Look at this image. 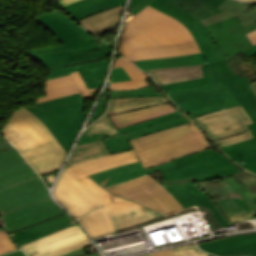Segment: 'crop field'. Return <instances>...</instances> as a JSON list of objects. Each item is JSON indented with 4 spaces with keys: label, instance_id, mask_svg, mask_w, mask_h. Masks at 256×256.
<instances>
[{
    "label": "crop field",
    "instance_id": "obj_23",
    "mask_svg": "<svg viewBox=\"0 0 256 256\" xmlns=\"http://www.w3.org/2000/svg\"><path fill=\"white\" fill-rule=\"evenodd\" d=\"M76 224L68 214L51 219L42 224L10 233L15 242L20 245L44 237L54 231Z\"/></svg>",
    "mask_w": 256,
    "mask_h": 256
},
{
    "label": "crop field",
    "instance_id": "obj_18",
    "mask_svg": "<svg viewBox=\"0 0 256 256\" xmlns=\"http://www.w3.org/2000/svg\"><path fill=\"white\" fill-rule=\"evenodd\" d=\"M104 50L73 54L71 50L52 51L30 54L33 61L44 62L47 70L62 66L80 64L85 62L108 59L111 55L112 46L103 42L100 44Z\"/></svg>",
    "mask_w": 256,
    "mask_h": 256
},
{
    "label": "crop field",
    "instance_id": "obj_21",
    "mask_svg": "<svg viewBox=\"0 0 256 256\" xmlns=\"http://www.w3.org/2000/svg\"><path fill=\"white\" fill-rule=\"evenodd\" d=\"M108 64L109 59L48 70L46 80L69 75L72 72L80 71L88 89L101 87L102 83L105 80Z\"/></svg>",
    "mask_w": 256,
    "mask_h": 256
},
{
    "label": "crop field",
    "instance_id": "obj_65",
    "mask_svg": "<svg viewBox=\"0 0 256 256\" xmlns=\"http://www.w3.org/2000/svg\"><path fill=\"white\" fill-rule=\"evenodd\" d=\"M47 178L49 179L50 183L52 184L55 179V176L49 175V176H47Z\"/></svg>",
    "mask_w": 256,
    "mask_h": 256
},
{
    "label": "crop field",
    "instance_id": "obj_52",
    "mask_svg": "<svg viewBox=\"0 0 256 256\" xmlns=\"http://www.w3.org/2000/svg\"><path fill=\"white\" fill-rule=\"evenodd\" d=\"M106 99L107 98L101 97L89 123L92 122L93 120H95L103 112V110L105 108Z\"/></svg>",
    "mask_w": 256,
    "mask_h": 256
},
{
    "label": "crop field",
    "instance_id": "obj_68",
    "mask_svg": "<svg viewBox=\"0 0 256 256\" xmlns=\"http://www.w3.org/2000/svg\"><path fill=\"white\" fill-rule=\"evenodd\" d=\"M144 256H150V254H148V255H144Z\"/></svg>",
    "mask_w": 256,
    "mask_h": 256
},
{
    "label": "crop field",
    "instance_id": "obj_40",
    "mask_svg": "<svg viewBox=\"0 0 256 256\" xmlns=\"http://www.w3.org/2000/svg\"><path fill=\"white\" fill-rule=\"evenodd\" d=\"M125 4V0H103L85 8L69 12L77 21L84 19L88 16L113 8L115 6Z\"/></svg>",
    "mask_w": 256,
    "mask_h": 256
},
{
    "label": "crop field",
    "instance_id": "obj_5",
    "mask_svg": "<svg viewBox=\"0 0 256 256\" xmlns=\"http://www.w3.org/2000/svg\"><path fill=\"white\" fill-rule=\"evenodd\" d=\"M204 76L208 82L222 81L227 89L239 101L243 109L251 117L253 123L248 124L254 138L221 149L237 162L256 154V97L251 92L249 79L235 75L228 67L227 61L202 64Z\"/></svg>",
    "mask_w": 256,
    "mask_h": 256
},
{
    "label": "crop field",
    "instance_id": "obj_16",
    "mask_svg": "<svg viewBox=\"0 0 256 256\" xmlns=\"http://www.w3.org/2000/svg\"><path fill=\"white\" fill-rule=\"evenodd\" d=\"M49 196L43 181L37 177L0 190V208L4 213Z\"/></svg>",
    "mask_w": 256,
    "mask_h": 256
},
{
    "label": "crop field",
    "instance_id": "obj_67",
    "mask_svg": "<svg viewBox=\"0 0 256 256\" xmlns=\"http://www.w3.org/2000/svg\"><path fill=\"white\" fill-rule=\"evenodd\" d=\"M90 256H100V254H96V255H90Z\"/></svg>",
    "mask_w": 256,
    "mask_h": 256
},
{
    "label": "crop field",
    "instance_id": "obj_30",
    "mask_svg": "<svg viewBox=\"0 0 256 256\" xmlns=\"http://www.w3.org/2000/svg\"><path fill=\"white\" fill-rule=\"evenodd\" d=\"M145 72L151 75L158 85L204 77L200 65L147 70Z\"/></svg>",
    "mask_w": 256,
    "mask_h": 256
},
{
    "label": "crop field",
    "instance_id": "obj_51",
    "mask_svg": "<svg viewBox=\"0 0 256 256\" xmlns=\"http://www.w3.org/2000/svg\"><path fill=\"white\" fill-rule=\"evenodd\" d=\"M244 163L242 164L241 161L237 162L246 169L256 173V155L245 160H242Z\"/></svg>",
    "mask_w": 256,
    "mask_h": 256
},
{
    "label": "crop field",
    "instance_id": "obj_53",
    "mask_svg": "<svg viewBox=\"0 0 256 256\" xmlns=\"http://www.w3.org/2000/svg\"><path fill=\"white\" fill-rule=\"evenodd\" d=\"M223 177L222 174H218V175H210V176H202V177H194L192 178L193 182H197V181H205V180H211V179H218Z\"/></svg>",
    "mask_w": 256,
    "mask_h": 256
},
{
    "label": "crop field",
    "instance_id": "obj_22",
    "mask_svg": "<svg viewBox=\"0 0 256 256\" xmlns=\"http://www.w3.org/2000/svg\"><path fill=\"white\" fill-rule=\"evenodd\" d=\"M99 89L87 90L80 73L77 72L69 76L46 81L45 94L47 96L37 98L36 103L77 93H81L83 97H86L90 96L89 91Z\"/></svg>",
    "mask_w": 256,
    "mask_h": 256
},
{
    "label": "crop field",
    "instance_id": "obj_44",
    "mask_svg": "<svg viewBox=\"0 0 256 256\" xmlns=\"http://www.w3.org/2000/svg\"><path fill=\"white\" fill-rule=\"evenodd\" d=\"M16 249H19V247L15 244V242L11 238L8 231L6 229L1 230L0 231V255Z\"/></svg>",
    "mask_w": 256,
    "mask_h": 256
},
{
    "label": "crop field",
    "instance_id": "obj_8",
    "mask_svg": "<svg viewBox=\"0 0 256 256\" xmlns=\"http://www.w3.org/2000/svg\"><path fill=\"white\" fill-rule=\"evenodd\" d=\"M219 147L252 138L246 124L251 123L241 106L193 119Z\"/></svg>",
    "mask_w": 256,
    "mask_h": 256
},
{
    "label": "crop field",
    "instance_id": "obj_57",
    "mask_svg": "<svg viewBox=\"0 0 256 256\" xmlns=\"http://www.w3.org/2000/svg\"><path fill=\"white\" fill-rule=\"evenodd\" d=\"M83 255H86V254L83 249H80V250H75L71 253L65 254L63 256H83Z\"/></svg>",
    "mask_w": 256,
    "mask_h": 256
},
{
    "label": "crop field",
    "instance_id": "obj_28",
    "mask_svg": "<svg viewBox=\"0 0 256 256\" xmlns=\"http://www.w3.org/2000/svg\"><path fill=\"white\" fill-rule=\"evenodd\" d=\"M125 6V5H124ZM124 6L116 7L114 9H109L103 11L99 14L88 17L84 20L79 21L83 28L87 31L100 36L116 27L121 19V15Z\"/></svg>",
    "mask_w": 256,
    "mask_h": 256
},
{
    "label": "crop field",
    "instance_id": "obj_61",
    "mask_svg": "<svg viewBox=\"0 0 256 256\" xmlns=\"http://www.w3.org/2000/svg\"><path fill=\"white\" fill-rule=\"evenodd\" d=\"M3 256H26L22 251H15L8 254H5Z\"/></svg>",
    "mask_w": 256,
    "mask_h": 256
},
{
    "label": "crop field",
    "instance_id": "obj_55",
    "mask_svg": "<svg viewBox=\"0 0 256 256\" xmlns=\"http://www.w3.org/2000/svg\"><path fill=\"white\" fill-rule=\"evenodd\" d=\"M151 256H175L172 249L151 253Z\"/></svg>",
    "mask_w": 256,
    "mask_h": 256
},
{
    "label": "crop field",
    "instance_id": "obj_38",
    "mask_svg": "<svg viewBox=\"0 0 256 256\" xmlns=\"http://www.w3.org/2000/svg\"><path fill=\"white\" fill-rule=\"evenodd\" d=\"M224 0H179L177 1L199 21L222 12L216 7Z\"/></svg>",
    "mask_w": 256,
    "mask_h": 256
},
{
    "label": "crop field",
    "instance_id": "obj_17",
    "mask_svg": "<svg viewBox=\"0 0 256 256\" xmlns=\"http://www.w3.org/2000/svg\"><path fill=\"white\" fill-rule=\"evenodd\" d=\"M168 192L185 208L193 205L208 207L213 213L208 218H215L219 227L223 228L231 225V222L216 204L205 192H203L194 183L172 186L166 188Z\"/></svg>",
    "mask_w": 256,
    "mask_h": 256
},
{
    "label": "crop field",
    "instance_id": "obj_25",
    "mask_svg": "<svg viewBox=\"0 0 256 256\" xmlns=\"http://www.w3.org/2000/svg\"><path fill=\"white\" fill-rule=\"evenodd\" d=\"M217 204L232 222V224L244 220L254 219L256 215L252 206L236 192L215 199Z\"/></svg>",
    "mask_w": 256,
    "mask_h": 256
},
{
    "label": "crop field",
    "instance_id": "obj_45",
    "mask_svg": "<svg viewBox=\"0 0 256 256\" xmlns=\"http://www.w3.org/2000/svg\"><path fill=\"white\" fill-rule=\"evenodd\" d=\"M51 13L55 15L57 18H59L62 22L68 25L71 29H73L75 32H77L80 36H82L87 41L92 38L91 36L88 35L87 32H85L86 30L84 31L81 26H78L77 24H75L73 21H71L69 18H67L57 9L52 11Z\"/></svg>",
    "mask_w": 256,
    "mask_h": 256
},
{
    "label": "crop field",
    "instance_id": "obj_49",
    "mask_svg": "<svg viewBox=\"0 0 256 256\" xmlns=\"http://www.w3.org/2000/svg\"><path fill=\"white\" fill-rule=\"evenodd\" d=\"M131 79L129 75L124 71L122 67L115 68L112 70V74L110 77V82L121 81V80H129Z\"/></svg>",
    "mask_w": 256,
    "mask_h": 256
},
{
    "label": "crop field",
    "instance_id": "obj_54",
    "mask_svg": "<svg viewBox=\"0 0 256 256\" xmlns=\"http://www.w3.org/2000/svg\"><path fill=\"white\" fill-rule=\"evenodd\" d=\"M153 0H145L142 2L140 5L135 7L133 10H131L130 17L131 18L133 15H135L137 12H139L141 9H143L145 6H147L149 3H151Z\"/></svg>",
    "mask_w": 256,
    "mask_h": 256
},
{
    "label": "crop field",
    "instance_id": "obj_41",
    "mask_svg": "<svg viewBox=\"0 0 256 256\" xmlns=\"http://www.w3.org/2000/svg\"><path fill=\"white\" fill-rule=\"evenodd\" d=\"M149 5H151L155 9L179 20L188 28V30L192 33V35L196 34L195 31L186 23L188 21L195 20V18L188 11L183 9L182 6H180L178 3H176V2L172 3L163 9L152 4V3Z\"/></svg>",
    "mask_w": 256,
    "mask_h": 256
},
{
    "label": "crop field",
    "instance_id": "obj_20",
    "mask_svg": "<svg viewBox=\"0 0 256 256\" xmlns=\"http://www.w3.org/2000/svg\"><path fill=\"white\" fill-rule=\"evenodd\" d=\"M171 165H175L174 161L145 170L141 162L138 161L90 175L88 177L98 183L102 188H106Z\"/></svg>",
    "mask_w": 256,
    "mask_h": 256
},
{
    "label": "crop field",
    "instance_id": "obj_29",
    "mask_svg": "<svg viewBox=\"0 0 256 256\" xmlns=\"http://www.w3.org/2000/svg\"><path fill=\"white\" fill-rule=\"evenodd\" d=\"M198 52H200V50L196 42H192L134 51L133 56L127 57L126 59L133 61L141 59L165 58Z\"/></svg>",
    "mask_w": 256,
    "mask_h": 256
},
{
    "label": "crop field",
    "instance_id": "obj_32",
    "mask_svg": "<svg viewBox=\"0 0 256 256\" xmlns=\"http://www.w3.org/2000/svg\"><path fill=\"white\" fill-rule=\"evenodd\" d=\"M188 24L197 32L194 38L207 63L224 60L225 55L214 44L208 29L201 25L197 20L188 22Z\"/></svg>",
    "mask_w": 256,
    "mask_h": 256
},
{
    "label": "crop field",
    "instance_id": "obj_4",
    "mask_svg": "<svg viewBox=\"0 0 256 256\" xmlns=\"http://www.w3.org/2000/svg\"><path fill=\"white\" fill-rule=\"evenodd\" d=\"M193 40L183 24L148 5L128 20L118 53L126 57L133 50Z\"/></svg>",
    "mask_w": 256,
    "mask_h": 256
},
{
    "label": "crop field",
    "instance_id": "obj_39",
    "mask_svg": "<svg viewBox=\"0 0 256 256\" xmlns=\"http://www.w3.org/2000/svg\"><path fill=\"white\" fill-rule=\"evenodd\" d=\"M158 216L161 215L142 207L127 213L111 216V219L114 223L115 228L118 229L134 225L144 220L152 219Z\"/></svg>",
    "mask_w": 256,
    "mask_h": 256
},
{
    "label": "crop field",
    "instance_id": "obj_47",
    "mask_svg": "<svg viewBox=\"0 0 256 256\" xmlns=\"http://www.w3.org/2000/svg\"><path fill=\"white\" fill-rule=\"evenodd\" d=\"M173 251L175 252L176 256H207L206 253L201 251L194 244L174 248Z\"/></svg>",
    "mask_w": 256,
    "mask_h": 256
},
{
    "label": "crop field",
    "instance_id": "obj_13",
    "mask_svg": "<svg viewBox=\"0 0 256 256\" xmlns=\"http://www.w3.org/2000/svg\"><path fill=\"white\" fill-rule=\"evenodd\" d=\"M207 27L215 44L226 55L227 59L252 46L238 18L233 17Z\"/></svg>",
    "mask_w": 256,
    "mask_h": 256
},
{
    "label": "crop field",
    "instance_id": "obj_24",
    "mask_svg": "<svg viewBox=\"0 0 256 256\" xmlns=\"http://www.w3.org/2000/svg\"><path fill=\"white\" fill-rule=\"evenodd\" d=\"M190 122L191 121L188 118L183 116V117H179V118H175V119L163 122V123L155 125V126L148 127L143 130L127 133V135L124 137L122 135H119L117 137L102 140V141L106 145V147L108 148V150L110 151L111 154L128 151V150L133 149L132 146L127 141L129 139L136 138V137L143 136V135L150 134V133H154L159 130L172 128V127H175V126H178L181 124L190 123Z\"/></svg>",
    "mask_w": 256,
    "mask_h": 256
},
{
    "label": "crop field",
    "instance_id": "obj_70",
    "mask_svg": "<svg viewBox=\"0 0 256 256\" xmlns=\"http://www.w3.org/2000/svg\"><path fill=\"white\" fill-rule=\"evenodd\" d=\"M54 1H56V0H54Z\"/></svg>",
    "mask_w": 256,
    "mask_h": 256
},
{
    "label": "crop field",
    "instance_id": "obj_10",
    "mask_svg": "<svg viewBox=\"0 0 256 256\" xmlns=\"http://www.w3.org/2000/svg\"><path fill=\"white\" fill-rule=\"evenodd\" d=\"M177 165L159 170L165 181L218 174L228 176L241 172L214 148L174 160Z\"/></svg>",
    "mask_w": 256,
    "mask_h": 256
},
{
    "label": "crop field",
    "instance_id": "obj_56",
    "mask_svg": "<svg viewBox=\"0 0 256 256\" xmlns=\"http://www.w3.org/2000/svg\"><path fill=\"white\" fill-rule=\"evenodd\" d=\"M174 1H176V0H155L152 3H154V4H156V5H158V6L163 8L164 6L170 4V3L174 2Z\"/></svg>",
    "mask_w": 256,
    "mask_h": 256
},
{
    "label": "crop field",
    "instance_id": "obj_19",
    "mask_svg": "<svg viewBox=\"0 0 256 256\" xmlns=\"http://www.w3.org/2000/svg\"><path fill=\"white\" fill-rule=\"evenodd\" d=\"M199 247L220 256H256V233L202 243Z\"/></svg>",
    "mask_w": 256,
    "mask_h": 256
},
{
    "label": "crop field",
    "instance_id": "obj_6",
    "mask_svg": "<svg viewBox=\"0 0 256 256\" xmlns=\"http://www.w3.org/2000/svg\"><path fill=\"white\" fill-rule=\"evenodd\" d=\"M22 106L40 118L68 152L85 120L81 94L57 98L30 107L25 104Z\"/></svg>",
    "mask_w": 256,
    "mask_h": 256
},
{
    "label": "crop field",
    "instance_id": "obj_58",
    "mask_svg": "<svg viewBox=\"0 0 256 256\" xmlns=\"http://www.w3.org/2000/svg\"><path fill=\"white\" fill-rule=\"evenodd\" d=\"M75 1H78V0H59V1H56L57 4H59L61 7L63 6H67Z\"/></svg>",
    "mask_w": 256,
    "mask_h": 256
},
{
    "label": "crop field",
    "instance_id": "obj_35",
    "mask_svg": "<svg viewBox=\"0 0 256 256\" xmlns=\"http://www.w3.org/2000/svg\"><path fill=\"white\" fill-rule=\"evenodd\" d=\"M109 155L107 148L102 141H96L89 144L75 147L71 157L66 164L65 168L75 164L86 162L89 160L97 159ZM64 168V169H65Z\"/></svg>",
    "mask_w": 256,
    "mask_h": 256
},
{
    "label": "crop field",
    "instance_id": "obj_26",
    "mask_svg": "<svg viewBox=\"0 0 256 256\" xmlns=\"http://www.w3.org/2000/svg\"><path fill=\"white\" fill-rule=\"evenodd\" d=\"M176 111L169 103L109 116L116 129Z\"/></svg>",
    "mask_w": 256,
    "mask_h": 256
},
{
    "label": "crop field",
    "instance_id": "obj_33",
    "mask_svg": "<svg viewBox=\"0 0 256 256\" xmlns=\"http://www.w3.org/2000/svg\"><path fill=\"white\" fill-rule=\"evenodd\" d=\"M142 70L165 68V67H176V66H188L206 63L202 54H191L185 56L171 57L165 59H154V60H142L132 62Z\"/></svg>",
    "mask_w": 256,
    "mask_h": 256
},
{
    "label": "crop field",
    "instance_id": "obj_48",
    "mask_svg": "<svg viewBox=\"0 0 256 256\" xmlns=\"http://www.w3.org/2000/svg\"><path fill=\"white\" fill-rule=\"evenodd\" d=\"M233 177L238 179L244 186H246L253 193L256 192V175L247 171L245 173L234 175Z\"/></svg>",
    "mask_w": 256,
    "mask_h": 256
},
{
    "label": "crop field",
    "instance_id": "obj_50",
    "mask_svg": "<svg viewBox=\"0 0 256 256\" xmlns=\"http://www.w3.org/2000/svg\"><path fill=\"white\" fill-rule=\"evenodd\" d=\"M100 0H82V1H78L70 6L67 7H63V9H65L67 12L75 10V9H79L82 7H85L87 5H90L92 3L98 2Z\"/></svg>",
    "mask_w": 256,
    "mask_h": 256
},
{
    "label": "crop field",
    "instance_id": "obj_59",
    "mask_svg": "<svg viewBox=\"0 0 256 256\" xmlns=\"http://www.w3.org/2000/svg\"><path fill=\"white\" fill-rule=\"evenodd\" d=\"M245 52H246L248 58L252 57L253 55L256 54V45L247 49V50H245Z\"/></svg>",
    "mask_w": 256,
    "mask_h": 256
},
{
    "label": "crop field",
    "instance_id": "obj_63",
    "mask_svg": "<svg viewBox=\"0 0 256 256\" xmlns=\"http://www.w3.org/2000/svg\"><path fill=\"white\" fill-rule=\"evenodd\" d=\"M142 1H144V0H133V1H132V9H133L135 6H137L138 4H140Z\"/></svg>",
    "mask_w": 256,
    "mask_h": 256
},
{
    "label": "crop field",
    "instance_id": "obj_43",
    "mask_svg": "<svg viewBox=\"0 0 256 256\" xmlns=\"http://www.w3.org/2000/svg\"><path fill=\"white\" fill-rule=\"evenodd\" d=\"M179 116H183V114L180 111H177L175 113L169 114V115H165L159 118H155L152 120H148L146 122L140 123V124H136L127 128H123V129H119L118 132L119 134H124L127 132H131V131H135V130H139V129H143L146 128L148 126L154 125V124H158L161 123L163 121L175 118V117H179Z\"/></svg>",
    "mask_w": 256,
    "mask_h": 256
},
{
    "label": "crop field",
    "instance_id": "obj_2",
    "mask_svg": "<svg viewBox=\"0 0 256 256\" xmlns=\"http://www.w3.org/2000/svg\"><path fill=\"white\" fill-rule=\"evenodd\" d=\"M0 133L23 154L39 176L59 170L67 155L46 125L22 106Z\"/></svg>",
    "mask_w": 256,
    "mask_h": 256
},
{
    "label": "crop field",
    "instance_id": "obj_60",
    "mask_svg": "<svg viewBox=\"0 0 256 256\" xmlns=\"http://www.w3.org/2000/svg\"><path fill=\"white\" fill-rule=\"evenodd\" d=\"M247 36L249 37V39L251 40L253 45H255L256 44V31H253V32L247 34Z\"/></svg>",
    "mask_w": 256,
    "mask_h": 256
},
{
    "label": "crop field",
    "instance_id": "obj_69",
    "mask_svg": "<svg viewBox=\"0 0 256 256\" xmlns=\"http://www.w3.org/2000/svg\"><path fill=\"white\" fill-rule=\"evenodd\" d=\"M208 256H213V255H210V254H207Z\"/></svg>",
    "mask_w": 256,
    "mask_h": 256
},
{
    "label": "crop field",
    "instance_id": "obj_9",
    "mask_svg": "<svg viewBox=\"0 0 256 256\" xmlns=\"http://www.w3.org/2000/svg\"><path fill=\"white\" fill-rule=\"evenodd\" d=\"M106 189L117 196L134 200L164 215L182 209L167 190L148 174Z\"/></svg>",
    "mask_w": 256,
    "mask_h": 256
},
{
    "label": "crop field",
    "instance_id": "obj_14",
    "mask_svg": "<svg viewBox=\"0 0 256 256\" xmlns=\"http://www.w3.org/2000/svg\"><path fill=\"white\" fill-rule=\"evenodd\" d=\"M35 20L38 21L41 25H43L51 33H53L61 41L63 45L36 51H30L29 53L63 49H72L74 53H77L102 49L95 37H93L91 40L87 42L77 33L71 30L68 26L62 23L59 19L53 16L50 12L41 15Z\"/></svg>",
    "mask_w": 256,
    "mask_h": 256
},
{
    "label": "crop field",
    "instance_id": "obj_64",
    "mask_svg": "<svg viewBox=\"0 0 256 256\" xmlns=\"http://www.w3.org/2000/svg\"><path fill=\"white\" fill-rule=\"evenodd\" d=\"M252 92L256 95V82L250 83Z\"/></svg>",
    "mask_w": 256,
    "mask_h": 256
},
{
    "label": "crop field",
    "instance_id": "obj_46",
    "mask_svg": "<svg viewBox=\"0 0 256 256\" xmlns=\"http://www.w3.org/2000/svg\"><path fill=\"white\" fill-rule=\"evenodd\" d=\"M207 84L205 79H196V80H190V81H184L179 83H173V84H167V85H161L160 87L164 91L169 90H175V89H181V88H187V87H193V86H199V85H205Z\"/></svg>",
    "mask_w": 256,
    "mask_h": 256
},
{
    "label": "crop field",
    "instance_id": "obj_15",
    "mask_svg": "<svg viewBox=\"0 0 256 256\" xmlns=\"http://www.w3.org/2000/svg\"><path fill=\"white\" fill-rule=\"evenodd\" d=\"M37 176L13 146L0 136V189ZM1 213L0 210V216Z\"/></svg>",
    "mask_w": 256,
    "mask_h": 256
},
{
    "label": "crop field",
    "instance_id": "obj_7",
    "mask_svg": "<svg viewBox=\"0 0 256 256\" xmlns=\"http://www.w3.org/2000/svg\"><path fill=\"white\" fill-rule=\"evenodd\" d=\"M166 93L183 113L191 119L239 106L238 101L225 88L222 82Z\"/></svg>",
    "mask_w": 256,
    "mask_h": 256
},
{
    "label": "crop field",
    "instance_id": "obj_3",
    "mask_svg": "<svg viewBox=\"0 0 256 256\" xmlns=\"http://www.w3.org/2000/svg\"><path fill=\"white\" fill-rule=\"evenodd\" d=\"M145 169L214 147L195 124H185L129 140Z\"/></svg>",
    "mask_w": 256,
    "mask_h": 256
},
{
    "label": "crop field",
    "instance_id": "obj_1",
    "mask_svg": "<svg viewBox=\"0 0 256 256\" xmlns=\"http://www.w3.org/2000/svg\"><path fill=\"white\" fill-rule=\"evenodd\" d=\"M137 160L139 159L132 150L75 165L63 171L54 196L75 218L104 205L78 220L92 239L115 231L119 233L134 229L131 226L115 230L109 216L142 206L114 196L86 176Z\"/></svg>",
    "mask_w": 256,
    "mask_h": 256
},
{
    "label": "crop field",
    "instance_id": "obj_42",
    "mask_svg": "<svg viewBox=\"0 0 256 256\" xmlns=\"http://www.w3.org/2000/svg\"><path fill=\"white\" fill-rule=\"evenodd\" d=\"M152 96H164L154 91L150 87L138 89V90H126V91H111L110 99L112 98H130V97H152Z\"/></svg>",
    "mask_w": 256,
    "mask_h": 256
},
{
    "label": "crop field",
    "instance_id": "obj_36",
    "mask_svg": "<svg viewBox=\"0 0 256 256\" xmlns=\"http://www.w3.org/2000/svg\"><path fill=\"white\" fill-rule=\"evenodd\" d=\"M168 101L164 97L153 98H130V99H113L110 100L108 115L120 112L165 104Z\"/></svg>",
    "mask_w": 256,
    "mask_h": 256
},
{
    "label": "crop field",
    "instance_id": "obj_66",
    "mask_svg": "<svg viewBox=\"0 0 256 256\" xmlns=\"http://www.w3.org/2000/svg\"><path fill=\"white\" fill-rule=\"evenodd\" d=\"M241 1L256 3V0H241Z\"/></svg>",
    "mask_w": 256,
    "mask_h": 256
},
{
    "label": "crop field",
    "instance_id": "obj_11",
    "mask_svg": "<svg viewBox=\"0 0 256 256\" xmlns=\"http://www.w3.org/2000/svg\"><path fill=\"white\" fill-rule=\"evenodd\" d=\"M93 245L76 224L36 241L20 245L28 256H60Z\"/></svg>",
    "mask_w": 256,
    "mask_h": 256
},
{
    "label": "crop field",
    "instance_id": "obj_37",
    "mask_svg": "<svg viewBox=\"0 0 256 256\" xmlns=\"http://www.w3.org/2000/svg\"><path fill=\"white\" fill-rule=\"evenodd\" d=\"M116 135H118V132L106 114L84 131L78 145Z\"/></svg>",
    "mask_w": 256,
    "mask_h": 256
},
{
    "label": "crop field",
    "instance_id": "obj_34",
    "mask_svg": "<svg viewBox=\"0 0 256 256\" xmlns=\"http://www.w3.org/2000/svg\"><path fill=\"white\" fill-rule=\"evenodd\" d=\"M119 66H122L133 80L111 83L110 85L111 90L137 89V88L149 86L145 80L148 78L146 74L141 72L131 63L127 62L122 58H118L115 60V64L113 68L119 67Z\"/></svg>",
    "mask_w": 256,
    "mask_h": 256
},
{
    "label": "crop field",
    "instance_id": "obj_62",
    "mask_svg": "<svg viewBox=\"0 0 256 256\" xmlns=\"http://www.w3.org/2000/svg\"><path fill=\"white\" fill-rule=\"evenodd\" d=\"M245 28H246L247 32L249 33V32H251V31L256 29V23L251 25V26H249V27H245Z\"/></svg>",
    "mask_w": 256,
    "mask_h": 256
},
{
    "label": "crop field",
    "instance_id": "obj_12",
    "mask_svg": "<svg viewBox=\"0 0 256 256\" xmlns=\"http://www.w3.org/2000/svg\"><path fill=\"white\" fill-rule=\"evenodd\" d=\"M65 212L51 198H46L20 209L4 213L5 226L9 232L42 223Z\"/></svg>",
    "mask_w": 256,
    "mask_h": 256
},
{
    "label": "crop field",
    "instance_id": "obj_31",
    "mask_svg": "<svg viewBox=\"0 0 256 256\" xmlns=\"http://www.w3.org/2000/svg\"><path fill=\"white\" fill-rule=\"evenodd\" d=\"M246 6L247 4L245 3L237 2L234 0H226L220 6H218V8L224 10L225 12L202 20L200 23L207 26L212 23L235 16L240 18V21L244 27L249 26L256 22V9L245 14L240 12L242 9L246 8Z\"/></svg>",
    "mask_w": 256,
    "mask_h": 256
},
{
    "label": "crop field",
    "instance_id": "obj_27",
    "mask_svg": "<svg viewBox=\"0 0 256 256\" xmlns=\"http://www.w3.org/2000/svg\"><path fill=\"white\" fill-rule=\"evenodd\" d=\"M195 184L198 185L213 199L236 191L240 195H242L256 210V193L253 194L252 192H250L247 188H245L238 180L234 179L232 176L222 180V183L211 184L208 181H205V182H197Z\"/></svg>",
    "mask_w": 256,
    "mask_h": 256
}]
</instances>
